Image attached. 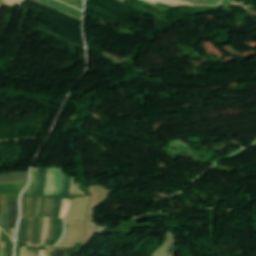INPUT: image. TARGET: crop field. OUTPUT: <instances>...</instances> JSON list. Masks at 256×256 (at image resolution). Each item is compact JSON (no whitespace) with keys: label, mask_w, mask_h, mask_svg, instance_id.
Returning a JSON list of instances; mask_svg holds the SVG:
<instances>
[{"label":"crop field","mask_w":256,"mask_h":256,"mask_svg":"<svg viewBox=\"0 0 256 256\" xmlns=\"http://www.w3.org/2000/svg\"><path fill=\"white\" fill-rule=\"evenodd\" d=\"M62 187V170L48 169L47 186L44 195L60 194Z\"/></svg>","instance_id":"obj_1"},{"label":"crop field","mask_w":256,"mask_h":256,"mask_svg":"<svg viewBox=\"0 0 256 256\" xmlns=\"http://www.w3.org/2000/svg\"><path fill=\"white\" fill-rule=\"evenodd\" d=\"M81 21L82 12L56 0H33Z\"/></svg>","instance_id":"obj_2"},{"label":"crop field","mask_w":256,"mask_h":256,"mask_svg":"<svg viewBox=\"0 0 256 256\" xmlns=\"http://www.w3.org/2000/svg\"><path fill=\"white\" fill-rule=\"evenodd\" d=\"M36 198H22V217H33Z\"/></svg>","instance_id":"obj_3"},{"label":"crop field","mask_w":256,"mask_h":256,"mask_svg":"<svg viewBox=\"0 0 256 256\" xmlns=\"http://www.w3.org/2000/svg\"><path fill=\"white\" fill-rule=\"evenodd\" d=\"M28 173L16 172L0 175V182L27 181Z\"/></svg>","instance_id":"obj_4"},{"label":"crop field","mask_w":256,"mask_h":256,"mask_svg":"<svg viewBox=\"0 0 256 256\" xmlns=\"http://www.w3.org/2000/svg\"><path fill=\"white\" fill-rule=\"evenodd\" d=\"M9 221L8 228H15L18 215V202H8Z\"/></svg>","instance_id":"obj_5"},{"label":"crop field","mask_w":256,"mask_h":256,"mask_svg":"<svg viewBox=\"0 0 256 256\" xmlns=\"http://www.w3.org/2000/svg\"><path fill=\"white\" fill-rule=\"evenodd\" d=\"M26 182L0 184V192H21Z\"/></svg>","instance_id":"obj_6"},{"label":"crop field","mask_w":256,"mask_h":256,"mask_svg":"<svg viewBox=\"0 0 256 256\" xmlns=\"http://www.w3.org/2000/svg\"><path fill=\"white\" fill-rule=\"evenodd\" d=\"M46 182V169L40 168L38 186L35 194L43 195Z\"/></svg>","instance_id":"obj_7"},{"label":"crop field","mask_w":256,"mask_h":256,"mask_svg":"<svg viewBox=\"0 0 256 256\" xmlns=\"http://www.w3.org/2000/svg\"><path fill=\"white\" fill-rule=\"evenodd\" d=\"M17 238L27 239V218L21 219Z\"/></svg>","instance_id":"obj_8"},{"label":"crop field","mask_w":256,"mask_h":256,"mask_svg":"<svg viewBox=\"0 0 256 256\" xmlns=\"http://www.w3.org/2000/svg\"><path fill=\"white\" fill-rule=\"evenodd\" d=\"M37 176H38V168H33V170H32V181H31V184L28 187L26 193L34 194L36 183H37Z\"/></svg>","instance_id":"obj_9"},{"label":"crop field","mask_w":256,"mask_h":256,"mask_svg":"<svg viewBox=\"0 0 256 256\" xmlns=\"http://www.w3.org/2000/svg\"><path fill=\"white\" fill-rule=\"evenodd\" d=\"M54 199H46L43 217H51Z\"/></svg>","instance_id":"obj_10"},{"label":"crop field","mask_w":256,"mask_h":256,"mask_svg":"<svg viewBox=\"0 0 256 256\" xmlns=\"http://www.w3.org/2000/svg\"><path fill=\"white\" fill-rule=\"evenodd\" d=\"M69 192H70V177L64 174L63 187H62L61 194L69 195Z\"/></svg>","instance_id":"obj_11"},{"label":"crop field","mask_w":256,"mask_h":256,"mask_svg":"<svg viewBox=\"0 0 256 256\" xmlns=\"http://www.w3.org/2000/svg\"><path fill=\"white\" fill-rule=\"evenodd\" d=\"M70 205H71L70 200L63 199L62 212H61L60 218H66L67 217V215L69 213Z\"/></svg>","instance_id":"obj_12"},{"label":"crop field","mask_w":256,"mask_h":256,"mask_svg":"<svg viewBox=\"0 0 256 256\" xmlns=\"http://www.w3.org/2000/svg\"><path fill=\"white\" fill-rule=\"evenodd\" d=\"M80 10L83 8V0H60Z\"/></svg>","instance_id":"obj_13"},{"label":"crop field","mask_w":256,"mask_h":256,"mask_svg":"<svg viewBox=\"0 0 256 256\" xmlns=\"http://www.w3.org/2000/svg\"><path fill=\"white\" fill-rule=\"evenodd\" d=\"M81 192L79 190V184L74 183V178L72 177L70 196H75V195L83 194Z\"/></svg>","instance_id":"obj_14"},{"label":"crop field","mask_w":256,"mask_h":256,"mask_svg":"<svg viewBox=\"0 0 256 256\" xmlns=\"http://www.w3.org/2000/svg\"><path fill=\"white\" fill-rule=\"evenodd\" d=\"M154 3H160V2H165L173 5H180V4H190L181 0H149Z\"/></svg>","instance_id":"obj_15"},{"label":"crop field","mask_w":256,"mask_h":256,"mask_svg":"<svg viewBox=\"0 0 256 256\" xmlns=\"http://www.w3.org/2000/svg\"><path fill=\"white\" fill-rule=\"evenodd\" d=\"M32 227H33V218H29V224H28V243L29 244H33Z\"/></svg>","instance_id":"obj_16"},{"label":"crop field","mask_w":256,"mask_h":256,"mask_svg":"<svg viewBox=\"0 0 256 256\" xmlns=\"http://www.w3.org/2000/svg\"><path fill=\"white\" fill-rule=\"evenodd\" d=\"M8 213L1 212L0 228L5 230L7 228Z\"/></svg>","instance_id":"obj_17"},{"label":"crop field","mask_w":256,"mask_h":256,"mask_svg":"<svg viewBox=\"0 0 256 256\" xmlns=\"http://www.w3.org/2000/svg\"><path fill=\"white\" fill-rule=\"evenodd\" d=\"M52 224H53V219H50L49 221V227H48V232H47V236H46V240L44 244H47L50 237H51V233H52Z\"/></svg>","instance_id":"obj_18"},{"label":"crop field","mask_w":256,"mask_h":256,"mask_svg":"<svg viewBox=\"0 0 256 256\" xmlns=\"http://www.w3.org/2000/svg\"><path fill=\"white\" fill-rule=\"evenodd\" d=\"M43 220L44 218H39L38 244L41 243Z\"/></svg>","instance_id":"obj_19"},{"label":"crop field","mask_w":256,"mask_h":256,"mask_svg":"<svg viewBox=\"0 0 256 256\" xmlns=\"http://www.w3.org/2000/svg\"><path fill=\"white\" fill-rule=\"evenodd\" d=\"M49 219L44 220V226H43V236H42V244L44 243L46 232H47V226H48Z\"/></svg>","instance_id":"obj_20"},{"label":"crop field","mask_w":256,"mask_h":256,"mask_svg":"<svg viewBox=\"0 0 256 256\" xmlns=\"http://www.w3.org/2000/svg\"><path fill=\"white\" fill-rule=\"evenodd\" d=\"M61 229H62V220L59 219V223H58V233H57V235H56V237H55V240H54V242H53L52 245H55L56 241H57L58 238L60 237V235H61Z\"/></svg>","instance_id":"obj_21"},{"label":"crop field","mask_w":256,"mask_h":256,"mask_svg":"<svg viewBox=\"0 0 256 256\" xmlns=\"http://www.w3.org/2000/svg\"><path fill=\"white\" fill-rule=\"evenodd\" d=\"M58 207H59V199H55V202H54V209H53V215H52V217H54V218L57 217Z\"/></svg>","instance_id":"obj_22"},{"label":"crop field","mask_w":256,"mask_h":256,"mask_svg":"<svg viewBox=\"0 0 256 256\" xmlns=\"http://www.w3.org/2000/svg\"><path fill=\"white\" fill-rule=\"evenodd\" d=\"M57 223H58V219H55V222H54V228H53V233H52V237L50 239V242H49V245H51L55 235H56V232H57Z\"/></svg>","instance_id":"obj_23"},{"label":"crop field","mask_w":256,"mask_h":256,"mask_svg":"<svg viewBox=\"0 0 256 256\" xmlns=\"http://www.w3.org/2000/svg\"><path fill=\"white\" fill-rule=\"evenodd\" d=\"M38 218H34V244H36Z\"/></svg>","instance_id":"obj_24"},{"label":"crop field","mask_w":256,"mask_h":256,"mask_svg":"<svg viewBox=\"0 0 256 256\" xmlns=\"http://www.w3.org/2000/svg\"><path fill=\"white\" fill-rule=\"evenodd\" d=\"M6 5L20 4L23 0H4Z\"/></svg>","instance_id":"obj_25"},{"label":"crop field","mask_w":256,"mask_h":256,"mask_svg":"<svg viewBox=\"0 0 256 256\" xmlns=\"http://www.w3.org/2000/svg\"><path fill=\"white\" fill-rule=\"evenodd\" d=\"M184 1H187V2H190V3H193V4H205V5H211V4H208V3L203 2V1H200V0H184Z\"/></svg>","instance_id":"obj_26"},{"label":"crop field","mask_w":256,"mask_h":256,"mask_svg":"<svg viewBox=\"0 0 256 256\" xmlns=\"http://www.w3.org/2000/svg\"><path fill=\"white\" fill-rule=\"evenodd\" d=\"M245 0H233L231 4L243 5Z\"/></svg>","instance_id":"obj_27"},{"label":"crop field","mask_w":256,"mask_h":256,"mask_svg":"<svg viewBox=\"0 0 256 256\" xmlns=\"http://www.w3.org/2000/svg\"><path fill=\"white\" fill-rule=\"evenodd\" d=\"M204 1L215 4V5H219L221 0H204Z\"/></svg>","instance_id":"obj_28"},{"label":"crop field","mask_w":256,"mask_h":256,"mask_svg":"<svg viewBox=\"0 0 256 256\" xmlns=\"http://www.w3.org/2000/svg\"><path fill=\"white\" fill-rule=\"evenodd\" d=\"M26 247L21 249V256H26Z\"/></svg>","instance_id":"obj_29"},{"label":"crop field","mask_w":256,"mask_h":256,"mask_svg":"<svg viewBox=\"0 0 256 256\" xmlns=\"http://www.w3.org/2000/svg\"><path fill=\"white\" fill-rule=\"evenodd\" d=\"M0 256H5V248H0Z\"/></svg>","instance_id":"obj_30"},{"label":"crop field","mask_w":256,"mask_h":256,"mask_svg":"<svg viewBox=\"0 0 256 256\" xmlns=\"http://www.w3.org/2000/svg\"><path fill=\"white\" fill-rule=\"evenodd\" d=\"M38 202H39V198H37V203H36V208H35V214H34V217H36V214H37Z\"/></svg>","instance_id":"obj_31"},{"label":"crop field","mask_w":256,"mask_h":256,"mask_svg":"<svg viewBox=\"0 0 256 256\" xmlns=\"http://www.w3.org/2000/svg\"><path fill=\"white\" fill-rule=\"evenodd\" d=\"M231 2V0H224L223 4L222 5H229Z\"/></svg>","instance_id":"obj_32"},{"label":"crop field","mask_w":256,"mask_h":256,"mask_svg":"<svg viewBox=\"0 0 256 256\" xmlns=\"http://www.w3.org/2000/svg\"><path fill=\"white\" fill-rule=\"evenodd\" d=\"M41 201H42V198H40V206H39V209H38L37 217H39V214H40V210H41Z\"/></svg>","instance_id":"obj_33"},{"label":"crop field","mask_w":256,"mask_h":256,"mask_svg":"<svg viewBox=\"0 0 256 256\" xmlns=\"http://www.w3.org/2000/svg\"><path fill=\"white\" fill-rule=\"evenodd\" d=\"M33 256H39V251L33 250Z\"/></svg>","instance_id":"obj_34"},{"label":"crop field","mask_w":256,"mask_h":256,"mask_svg":"<svg viewBox=\"0 0 256 256\" xmlns=\"http://www.w3.org/2000/svg\"><path fill=\"white\" fill-rule=\"evenodd\" d=\"M44 201H45V199H43V201H42V210H41V215H40V217H42V214H43Z\"/></svg>","instance_id":"obj_35"},{"label":"crop field","mask_w":256,"mask_h":256,"mask_svg":"<svg viewBox=\"0 0 256 256\" xmlns=\"http://www.w3.org/2000/svg\"><path fill=\"white\" fill-rule=\"evenodd\" d=\"M61 204H62V199H60V207H59V211H58V217H59V214H60V211H61Z\"/></svg>","instance_id":"obj_36"},{"label":"crop field","mask_w":256,"mask_h":256,"mask_svg":"<svg viewBox=\"0 0 256 256\" xmlns=\"http://www.w3.org/2000/svg\"><path fill=\"white\" fill-rule=\"evenodd\" d=\"M27 256H32V250H27Z\"/></svg>","instance_id":"obj_37"},{"label":"crop field","mask_w":256,"mask_h":256,"mask_svg":"<svg viewBox=\"0 0 256 256\" xmlns=\"http://www.w3.org/2000/svg\"><path fill=\"white\" fill-rule=\"evenodd\" d=\"M16 256H20V249L16 250Z\"/></svg>","instance_id":"obj_38"},{"label":"crop field","mask_w":256,"mask_h":256,"mask_svg":"<svg viewBox=\"0 0 256 256\" xmlns=\"http://www.w3.org/2000/svg\"><path fill=\"white\" fill-rule=\"evenodd\" d=\"M40 256H45V251H40Z\"/></svg>","instance_id":"obj_39"}]
</instances>
